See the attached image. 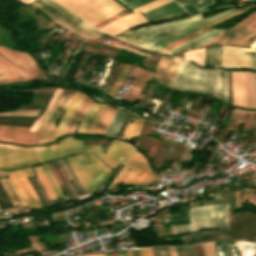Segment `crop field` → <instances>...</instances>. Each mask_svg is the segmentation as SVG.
<instances>
[{
    "label": "crop field",
    "instance_id": "8a807250",
    "mask_svg": "<svg viewBox=\"0 0 256 256\" xmlns=\"http://www.w3.org/2000/svg\"><path fill=\"white\" fill-rule=\"evenodd\" d=\"M75 140L62 139L58 146L38 148L43 162L73 153L85 152L66 158L83 190H93L97 188L111 172L96 156L103 159L111 168H115L118 163L125 165L136 150L125 142L113 140L112 144L103 155L101 147L96 145L84 146L82 143L78 142L79 140ZM92 160L95 162L83 165ZM124 165L107 188H111L119 179L126 169Z\"/></svg>",
    "mask_w": 256,
    "mask_h": 256
},
{
    "label": "crop field",
    "instance_id": "ac0d7876",
    "mask_svg": "<svg viewBox=\"0 0 256 256\" xmlns=\"http://www.w3.org/2000/svg\"><path fill=\"white\" fill-rule=\"evenodd\" d=\"M190 224L174 226V234L193 231L201 228L219 227L214 231H195L183 238L187 245L211 239H227V205L198 206L189 210Z\"/></svg>",
    "mask_w": 256,
    "mask_h": 256
},
{
    "label": "crop field",
    "instance_id": "34b2d1b8",
    "mask_svg": "<svg viewBox=\"0 0 256 256\" xmlns=\"http://www.w3.org/2000/svg\"><path fill=\"white\" fill-rule=\"evenodd\" d=\"M47 79L29 54L0 46V84Z\"/></svg>",
    "mask_w": 256,
    "mask_h": 256
},
{
    "label": "crop field",
    "instance_id": "412701ff",
    "mask_svg": "<svg viewBox=\"0 0 256 256\" xmlns=\"http://www.w3.org/2000/svg\"><path fill=\"white\" fill-rule=\"evenodd\" d=\"M169 88L207 93L217 97V70H200L184 61Z\"/></svg>",
    "mask_w": 256,
    "mask_h": 256
},
{
    "label": "crop field",
    "instance_id": "f4fd0767",
    "mask_svg": "<svg viewBox=\"0 0 256 256\" xmlns=\"http://www.w3.org/2000/svg\"><path fill=\"white\" fill-rule=\"evenodd\" d=\"M31 4L39 7L58 24L78 32L86 37L97 39L102 32L92 28L79 17L67 11L52 0H33Z\"/></svg>",
    "mask_w": 256,
    "mask_h": 256
},
{
    "label": "crop field",
    "instance_id": "dd49c442",
    "mask_svg": "<svg viewBox=\"0 0 256 256\" xmlns=\"http://www.w3.org/2000/svg\"><path fill=\"white\" fill-rule=\"evenodd\" d=\"M198 19H201L200 14L192 15L188 18L178 20L176 22L141 28L136 31H127L122 34L115 35L127 42L148 48L158 39L166 36L167 34L182 28Z\"/></svg>",
    "mask_w": 256,
    "mask_h": 256
},
{
    "label": "crop field",
    "instance_id": "e52e79f7",
    "mask_svg": "<svg viewBox=\"0 0 256 256\" xmlns=\"http://www.w3.org/2000/svg\"><path fill=\"white\" fill-rule=\"evenodd\" d=\"M66 6L90 24H95L109 15L123 9L114 0H55ZM65 7V8H66ZM94 26V25H93Z\"/></svg>",
    "mask_w": 256,
    "mask_h": 256
},
{
    "label": "crop field",
    "instance_id": "d8731c3e",
    "mask_svg": "<svg viewBox=\"0 0 256 256\" xmlns=\"http://www.w3.org/2000/svg\"><path fill=\"white\" fill-rule=\"evenodd\" d=\"M37 148L0 144V169L13 170L41 163Z\"/></svg>",
    "mask_w": 256,
    "mask_h": 256
},
{
    "label": "crop field",
    "instance_id": "5a996713",
    "mask_svg": "<svg viewBox=\"0 0 256 256\" xmlns=\"http://www.w3.org/2000/svg\"><path fill=\"white\" fill-rule=\"evenodd\" d=\"M255 35L256 12L238 22L235 27L224 30L213 40L201 46H208L214 43L244 46Z\"/></svg>",
    "mask_w": 256,
    "mask_h": 256
},
{
    "label": "crop field",
    "instance_id": "3316defc",
    "mask_svg": "<svg viewBox=\"0 0 256 256\" xmlns=\"http://www.w3.org/2000/svg\"><path fill=\"white\" fill-rule=\"evenodd\" d=\"M75 92V90L63 89L54 105L51 107L49 112L37 127L33 144L50 141L51 134L58 116L63 112L64 108L70 102Z\"/></svg>",
    "mask_w": 256,
    "mask_h": 256
},
{
    "label": "crop field",
    "instance_id": "28ad6ade",
    "mask_svg": "<svg viewBox=\"0 0 256 256\" xmlns=\"http://www.w3.org/2000/svg\"><path fill=\"white\" fill-rule=\"evenodd\" d=\"M250 48L223 46L220 67L243 68L256 70V54L245 52H256V42Z\"/></svg>",
    "mask_w": 256,
    "mask_h": 256
},
{
    "label": "crop field",
    "instance_id": "d1516ede",
    "mask_svg": "<svg viewBox=\"0 0 256 256\" xmlns=\"http://www.w3.org/2000/svg\"><path fill=\"white\" fill-rule=\"evenodd\" d=\"M7 172V171H6ZM9 178H7L17 196L21 200L23 206H29L30 208L34 207L37 208L40 206L39 199L34 194L28 180L26 178L33 177V173L31 172L30 168H24L16 171L7 172Z\"/></svg>",
    "mask_w": 256,
    "mask_h": 256
},
{
    "label": "crop field",
    "instance_id": "22f410ed",
    "mask_svg": "<svg viewBox=\"0 0 256 256\" xmlns=\"http://www.w3.org/2000/svg\"><path fill=\"white\" fill-rule=\"evenodd\" d=\"M236 12H239V11L235 8H232V9L226 10L224 12H221L219 14H216L214 16L201 19L195 23H192V24H190L182 29H179V30L167 35L166 37L160 39L159 41L154 43L151 47H149V49L160 52L166 46L181 39L182 37L194 32L208 24H211L217 20L226 18Z\"/></svg>",
    "mask_w": 256,
    "mask_h": 256
},
{
    "label": "crop field",
    "instance_id": "cbeb9de0",
    "mask_svg": "<svg viewBox=\"0 0 256 256\" xmlns=\"http://www.w3.org/2000/svg\"><path fill=\"white\" fill-rule=\"evenodd\" d=\"M171 1H173V0H156L154 2H151L147 5H144L135 10H132L134 13L127 15L123 18H119V19L107 24L106 26L102 27L100 30H102L110 35H113L115 33L121 32V31L129 28L130 26H132L134 24L147 22V20L145 18H143L137 11H141L142 13H144L150 9L164 5Z\"/></svg>",
    "mask_w": 256,
    "mask_h": 256
},
{
    "label": "crop field",
    "instance_id": "5142ce71",
    "mask_svg": "<svg viewBox=\"0 0 256 256\" xmlns=\"http://www.w3.org/2000/svg\"><path fill=\"white\" fill-rule=\"evenodd\" d=\"M182 61V59L174 56L163 57L158 67L155 69V71H158L160 73H154L153 78H155L157 82L168 87L170 82L175 77Z\"/></svg>",
    "mask_w": 256,
    "mask_h": 256
},
{
    "label": "crop field",
    "instance_id": "d9b57169",
    "mask_svg": "<svg viewBox=\"0 0 256 256\" xmlns=\"http://www.w3.org/2000/svg\"><path fill=\"white\" fill-rule=\"evenodd\" d=\"M29 128L0 126V141L31 145L34 133H27Z\"/></svg>",
    "mask_w": 256,
    "mask_h": 256
},
{
    "label": "crop field",
    "instance_id": "733c2abd",
    "mask_svg": "<svg viewBox=\"0 0 256 256\" xmlns=\"http://www.w3.org/2000/svg\"><path fill=\"white\" fill-rule=\"evenodd\" d=\"M106 105L93 102L86 110L77 132L90 134Z\"/></svg>",
    "mask_w": 256,
    "mask_h": 256
},
{
    "label": "crop field",
    "instance_id": "4a817a6b",
    "mask_svg": "<svg viewBox=\"0 0 256 256\" xmlns=\"http://www.w3.org/2000/svg\"><path fill=\"white\" fill-rule=\"evenodd\" d=\"M153 72L143 70L141 68H135L134 73L132 75L134 79L131 87L128 89V91L123 96L124 99H127L129 101H133L136 99V97L140 94L148 80L152 77Z\"/></svg>",
    "mask_w": 256,
    "mask_h": 256
},
{
    "label": "crop field",
    "instance_id": "bc2a9ffb",
    "mask_svg": "<svg viewBox=\"0 0 256 256\" xmlns=\"http://www.w3.org/2000/svg\"><path fill=\"white\" fill-rule=\"evenodd\" d=\"M129 168L131 170H129ZM158 178L160 177L154 175V173L144 172L135 168L128 167V169L120 177L117 183L120 180H123L125 183L122 186L141 184V183L145 184V183L157 181ZM117 183L113 187H115Z\"/></svg>",
    "mask_w": 256,
    "mask_h": 256
},
{
    "label": "crop field",
    "instance_id": "214f88e0",
    "mask_svg": "<svg viewBox=\"0 0 256 256\" xmlns=\"http://www.w3.org/2000/svg\"><path fill=\"white\" fill-rule=\"evenodd\" d=\"M233 87V105L245 106V86L243 72H231Z\"/></svg>",
    "mask_w": 256,
    "mask_h": 256
},
{
    "label": "crop field",
    "instance_id": "92a150f3",
    "mask_svg": "<svg viewBox=\"0 0 256 256\" xmlns=\"http://www.w3.org/2000/svg\"><path fill=\"white\" fill-rule=\"evenodd\" d=\"M84 97H85V95L80 94L78 92L75 94V96L73 97V99L71 100V102L69 103L67 108L65 109V111H64L65 113H64L58 127L54 129L51 141L60 137L66 121L68 120L70 115L73 113V111L78 107V105L81 103V101L84 99Z\"/></svg>",
    "mask_w": 256,
    "mask_h": 256
},
{
    "label": "crop field",
    "instance_id": "dafd665d",
    "mask_svg": "<svg viewBox=\"0 0 256 256\" xmlns=\"http://www.w3.org/2000/svg\"><path fill=\"white\" fill-rule=\"evenodd\" d=\"M92 103V101L86 96V98L83 100V102L80 104V106L77 108V110L72 114V116L69 118L65 129L62 132V135L66 134H74L76 125L79 122V120L82 118L85 110L87 107ZM61 135V136H62Z\"/></svg>",
    "mask_w": 256,
    "mask_h": 256
},
{
    "label": "crop field",
    "instance_id": "00972430",
    "mask_svg": "<svg viewBox=\"0 0 256 256\" xmlns=\"http://www.w3.org/2000/svg\"><path fill=\"white\" fill-rule=\"evenodd\" d=\"M180 12H184L182 8H180L175 1L164 5L158 9L149 11L147 13H144V15L151 21L155 19L164 18L173 14H177Z\"/></svg>",
    "mask_w": 256,
    "mask_h": 256
},
{
    "label": "crop field",
    "instance_id": "a9b5d70f",
    "mask_svg": "<svg viewBox=\"0 0 256 256\" xmlns=\"http://www.w3.org/2000/svg\"><path fill=\"white\" fill-rule=\"evenodd\" d=\"M221 31H222L221 29H212L211 31H207V32L195 37L194 39L188 41L184 45L176 48L175 50L169 52V54H174V53H177L182 50L194 48L204 42L210 41L215 36H217L219 33H221Z\"/></svg>",
    "mask_w": 256,
    "mask_h": 256
},
{
    "label": "crop field",
    "instance_id": "4177f3b9",
    "mask_svg": "<svg viewBox=\"0 0 256 256\" xmlns=\"http://www.w3.org/2000/svg\"><path fill=\"white\" fill-rule=\"evenodd\" d=\"M246 86V106L256 108V85L253 73L244 72Z\"/></svg>",
    "mask_w": 256,
    "mask_h": 256
},
{
    "label": "crop field",
    "instance_id": "730fd06b",
    "mask_svg": "<svg viewBox=\"0 0 256 256\" xmlns=\"http://www.w3.org/2000/svg\"><path fill=\"white\" fill-rule=\"evenodd\" d=\"M222 45H212L205 48V61L203 67H219Z\"/></svg>",
    "mask_w": 256,
    "mask_h": 256
},
{
    "label": "crop field",
    "instance_id": "eef30255",
    "mask_svg": "<svg viewBox=\"0 0 256 256\" xmlns=\"http://www.w3.org/2000/svg\"><path fill=\"white\" fill-rule=\"evenodd\" d=\"M117 107L114 110L112 107L107 106L103 114L101 115L100 119L98 120L92 134H102L104 133L105 129L107 128L109 122L111 121L112 117L117 111Z\"/></svg>",
    "mask_w": 256,
    "mask_h": 256
},
{
    "label": "crop field",
    "instance_id": "ae1a2a85",
    "mask_svg": "<svg viewBox=\"0 0 256 256\" xmlns=\"http://www.w3.org/2000/svg\"><path fill=\"white\" fill-rule=\"evenodd\" d=\"M122 109H118L117 113L113 117L112 121L110 122L108 128L106 129L104 135L105 136H115L124 121L127 113L121 111Z\"/></svg>",
    "mask_w": 256,
    "mask_h": 256
},
{
    "label": "crop field",
    "instance_id": "d3111659",
    "mask_svg": "<svg viewBox=\"0 0 256 256\" xmlns=\"http://www.w3.org/2000/svg\"><path fill=\"white\" fill-rule=\"evenodd\" d=\"M126 166H133L136 168L143 169L145 171L152 172V170L149 168V165L147 164V161L145 160V158L137 151L133 154V156L127 162Z\"/></svg>",
    "mask_w": 256,
    "mask_h": 256
},
{
    "label": "crop field",
    "instance_id": "750c4746",
    "mask_svg": "<svg viewBox=\"0 0 256 256\" xmlns=\"http://www.w3.org/2000/svg\"><path fill=\"white\" fill-rule=\"evenodd\" d=\"M219 79V98L227 102L228 87H227V73L218 70Z\"/></svg>",
    "mask_w": 256,
    "mask_h": 256
},
{
    "label": "crop field",
    "instance_id": "bd1437ed",
    "mask_svg": "<svg viewBox=\"0 0 256 256\" xmlns=\"http://www.w3.org/2000/svg\"><path fill=\"white\" fill-rule=\"evenodd\" d=\"M184 59L193 60L196 64L202 66L204 60V48L185 51Z\"/></svg>",
    "mask_w": 256,
    "mask_h": 256
},
{
    "label": "crop field",
    "instance_id": "1d83c4d3",
    "mask_svg": "<svg viewBox=\"0 0 256 256\" xmlns=\"http://www.w3.org/2000/svg\"><path fill=\"white\" fill-rule=\"evenodd\" d=\"M142 120L136 118L135 121L133 123H128L124 133H123V138H127L129 139L130 137L132 136H137L138 135V132L140 130V127H141V124H142ZM126 139V140H127ZM125 140V139H124Z\"/></svg>",
    "mask_w": 256,
    "mask_h": 256
},
{
    "label": "crop field",
    "instance_id": "120bbe31",
    "mask_svg": "<svg viewBox=\"0 0 256 256\" xmlns=\"http://www.w3.org/2000/svg\"><path fill=\"white\" fill-rule=\"evenodd\" d=\"M40 166L43 169V171H44V173H45V175H46V177H47L51 187L53 188L56 196L64 198V196L62 195V193H61V191H60V189H59V187H58V185H57V183H56V181H55V179H54L50 169L47 167L46 164L40 165Z\"/></svg>",
    "mask_w": 256,
    "mask_h": 256
},
{
    "label": "crop field",
    "instance_id": "d32e631a",
    "mask_svg": "<svg viewBox=\"0 0 256 256\" xmlns=\"http://www.w3.org/2000/svg\"><path fill=\"white\" fill-rule=\"evenodd\" d=\"M33 168L35 169V171H36V173H37V175H38V177H39L41 183L43 184V186H44V188H45V190H46V192H47L49 198H50V199H57L56 196H55V194H54V192H53V190H52V188L50 187V185H49V183H48L46 177L44 176V174H43V172H42L40 166H38V167H33Z\"/></svg>",
    "mask_w": 256,
    "mask_h": 256
},
{
    "label": "crop field",
    "instance_id": "5866460e",
    "mask_svg": "<svg viewBox=\"0 0 256 256\" xmlns=\"http://www.w3.org/2000/svg\"><path fill=\"white\" fill-rule=\"evenodd\" d=\"M207 30H209V29H204V28H203V29H201V30H198V31H196V32H194V33H192V34H190V35L184 37L183 39L179 40V41L176 42L175 44H173V45H171V46L165 48V49H164L163 51H161V52L167 53V52H169V51L175 49L176 47H178V46L184 44V43L187 42L188 40L194 38L195 36H197V35H199V34L205 32V31H207Z\"/></svg>",
    "mask_w": 256,
    "mask_h": 256
},
{
    "label": "crop field",
    "instance_id": "028f5c9d",
    "mask_svg": "<svg viewBox=\"0 0 256 256\" xmlns=\"http://www.w3.org/2000/svg\"><path fill=\"white\" fill-rule=\"evenodd\" d=\"M129 13H130L129 11L124 9V10H122V11H120V12H118V13H116V14H114V15H112V16L104 19V20H102L101 22L95 24L94 27H96L98 29V28L106 25L107 23H109V22H111V21H113V20H115V19H117L119 17H123V16H125V15H127Z\"/></svg>",
    "mask_w": 256,
    "mask_h": 256
},
{
    "label": "crop field",
    "instance_id": "e1f06a70",
    "mask_svg": "<svg viewBox=\"0 0 256 256\" xmlns=\"http://www.w3.org/2000/svg\"><path fill=\"white\" fill-rule=\"evenodd\" d=\"M0 182H1V184H2V186H3V188H4V190H5V192H6V194H7V196L9 197L11 203L13 204V206H14L16 212H18V210H17V208H16V206H15V205L18 204V202H17L16 198L14 197V195H13V193H12V191H11L9 185L7 184V182L5 181L4 178H3V179H0ZM18 205H19V204H18ZM19 207H20V206H19ZM20 208H21V207H20Z\"/></svg>",
    "mask_w": 256,
    "mask_h": 256
},
{
    "label": "crop field",
    "instance_id": "0bd39190",
    "mask_svg": "<svg viewBox=\"0 0 256 256\" xmlns=\"http://www.w3.org/2000/svg\"><path fill=\"white\" fill-rule=\"evenodd\" d=\"M41 110H20L15 112H0V115H38Z\"/></svg>",
    "mask_w": 256,
    "mask_h": 256
},
{
    "label": "crop field",
    "instance_id": "b80d0937",
    "mask_svg": "<svg viewBox=\"0 0 256 256\" xmlns=\"http://www.w3.org/2000/svg\"><path fill=\"white\" fill-rule=\"evenodd\" d=\"M178 256H195L192 246L188 247H176Z\"/></svg>",
    "mask_w": 256,
    "mask_h": 256
},
{
    "label": "crop field",
    "instance_id": "c035e120",
    "mask_svg": "<svg viewBox=\"0 0 256 256\" xmlns=\"http://www.w3.org/2000/svg\"><path fill=\"white\" fill-rule=\"evenodd\" d=\"M187 3L196 4L197 5V9L200 10V9H202V8L212 4L213 0H190V1H187L185 3H182L181 5L187 4Z\"/></svg>",
    "mask_w": 256,
    "mask_h": 256
},
{
    "label": "crop field",
    "instance_id": "c21b1889",
    "mask_svg": "<svg viewBox=\"0 0 256 256\" xmlns=\"http://www.w3.org/2000/svg\"><path fill=\"white\" fill-rule=\"evenodd\" d=\"M207 256H217L214 241L203 244Z\"/></svg>",
    "mask_w": 256,
    "mask_h": 256
},
{
    "label": "crop field",
    "instance_id": "03da06ac",
    "mask_svg": "<svg viewBox=\"0 0 256 256\" xmlns=\"http://www.w3.org/2000/svg\"><path fill=\"white\" fill-rule=\"evenodd\" d=\"M31 246L35 245L37 252L44 251L38 236L27 237Z\"/></svg>",
    "mask_w": 256,
    "mask_h": 256
},
{
    "label": "crop field",
    "instance_id": "b54c1fbb",
    "mask_svg": "<svg viewBox=\"0 0 256 256\" xmlns=\"http://www.w3.org/2000/svg\"><path fill=\"white\" fill-rule=\"evenodd\" d=\"M153 256H169L167 247L151 248Z\"/></svg>",
    "mask_w": 256,
    "mask_h": 256
},
{
    "label": "crop field",
    "instance_id": "5d738f31",
    "mask_svg": "<svg viewBox=\"0 0 256 256\" xmlns=\"http://www.w3.org/2000/svg\"><path fill=\"white\" fill-rule=\"evenodd\" d=\"M120 1L122 4H124L125 6H127L128 8L137 5L141 2H144L146 0H118Z\"/></svg>",
    "mask_w": 256,
    "mask_h": 256
},
{
    "label": "crop field",
    "instance_id": "d23c7cc5",
    "mask_svg": "<svg viewBox=\"0 0 256 256\" xmlns=\"http://www.w3.org/2000/svg\"><path fill=\"white\" fill-rule=\"evenodd\" d=\"M140 256H152L150 248H142L138 250Z\"/></svg>",
    "mask_w": 256,
    "mask_h": 256
},
{
    "label": "crop field",
    "instance_id": "425ffa30",
    "mask_svg": "<svg viewBox=\"0 0 256 256\" xmlns=\"http://www.w3.org/2000/svg\"><path fill=\"white\" fill-rule=\"evenodd\" d=\"M55 88H43V89H35V90H28V91H22V92H47V93H53Z\"/></svg>",
    "mask_w": 256,
    "mask_h": 256
},
{
    "label": "crop field",
    "instance_id": "25e5ab78",
    "mask_svg": "<svg viewBox=\"0 0 256 256\" xmlns=\"http://www.w3.org/2000/svg\"><path fill=\"white\" fill-rule=\"evenodd\" d=\"M255 6H256V5H255ZM253 7H254V6H253ZM251 8H252V7H251ZM248 9H250V8H248ZM248 9H246V10H248ZM243 11H245V10H243ZM243 11H241V12H243ZM241 12H239V13H241ZM239 13H236V14H234V15H232V16H230V17L226 18V19H229V18H231V17H233V16H235V15H237V14H239ZM226 19H223V20L217 21V22H215V23H213V24H211V25H209V26H206V27L213 26V25H215V24H217V23H219V22H221V21H224V20H226Z\"/></svg>",
    "mask_w": 256,
    "mask_h": 256
},
{
    "label": "crop field",
    "instance_id": "73cf0c24",
    "mask_svg": "<svg viewBox=\"0 0 256 256\" xmlns=\"http://www.w3.org/2000/svg\"><path fill=\"white\" fill-rule=\"evenodd\" d=\"M168 248H169L170 256H177L175 247H168Z\"/></svg>",
    "mask_w": 256,
    "mask_h": 256
},
{
    "label": "crop field",
    "instance_id": "89e229c0",
    "mask_svg": "<svg viewBox=\"0 0 256 256\" xmlns=\"http://www.w3.org/2000/svg\"><path fill=\"white\" fill-rule=\"evenodd\" d=\"M151 1H154V0H148V1L144 2V3H141V4L137 5V6H134V7L130 8V10L135 9V8H137V7H139V6H142V5H144V4H146V3H149V2H151Z\"/></svg>",
    "mask_w": 256,
    "mask_h": 256
},
{
    "label": "crop field",
    "instance_id": "1f2cbd36",
    "mask_svg": "<svg viewBox=\"0 0 256 256\" xmlns=\"http://www.w3.org/2000/svg\"><path fill=\"white\" fill-rule=\"evenodd\" d=\"M117 254H118V256H127L125 250L119 251V252H117Z\"/></svg>",
    "mask_w": 256,
    "mask_h": 256
},
{
    "label": "crop field",
    "instance_id": "dbb93151",
    "mask_svg": "<svg viewBox=\"0 0 256 256\" xmlns=\"http://www.w3.org/2000/svg\"><path fill=\"white\" fill-rule=\"evenodd\" d=\"M255 41H256V36L253 39H251L245 46H249L250 44H252Z\"/></svg>",
    "mask_w": 256,
    "mask_h": 256
},
{
    "label": "crop field",
    "instance_id": "0fb4a251",
    "mask_svg": "<svg viewBox=\"0 0 256 256\" xmlns=\"http://www.w3.org/2000/svg\"><path fill=\"white\" fill-rule=\"evenodd\" d=\"M2 176H6L5 171H0V177H2Z\"/></svg>",
    "mask_w": 256,
    "mask_h": 256
},
{
    "label": "crop field",
    "instance_id": "1d79db26",
    "mask_svg": "<svg viewBox=\"0 0 256 256\" xmlns=\"http://www.w3.org/2000/svg\"><path fill=\"white\" fill-rule=\"evenodd\" d=\"M133 256H138L136 250H131Z\"/></svg>",
    "mask_w": 256,
    "mask_h": 256
},
{
    "label": "crop field",
    "instance_id": "9d1cf04e",
    "mask_svg": "<svg viewBox=\"0 0 256 256\" xmlns=\"http://www.w3.org/2000/svg\"><path fill=\"white\" fill-rule=\"evenodd\" d=\"M110 256H117L116 252H109Z\"/></svg>",
    "mask_w": 256,
    "mask_h": 256
},
{
    "label": "crop field",
    "instance_id": "447ae74e",
    "mask_svg": "<svg viewBox=\"0 0 256 256\" xmlns=\"http://www.w3.org/2000/svg\"><path fill=\"white\" fill-rule=\"evenodd\" d=\"M175 1L180 4V3L185 2V1H187V0H175Z\"/></svg>",
    "mask_w": 256,
    "mask_h": 256
},
{
    "label": "crop field",
    "instance_id": "0765c3eb",
    "mask_svg": "<svg viewBox=\"0 0 256 256\" xmlns=\"http://www.w3.org/2000/svg\"><path fill=\"white\" fill-rule=\"evenodd\" d=\"M126 251H127V255H128V256H132L130 250H126Z\"/></svg>",
    "mask_w": 256,
    "mask_h": 256
},
{
    "label": "crop field",
    "instance_id": "db79e9e6",
    "mask_svg": "<svg viewBox=\"0 0 256 256\" xmlns=\"http://www.w3.org/2000/svg\"><path fill=\"white\" fill-rule=\"evenodd\" d=\"M89 256H101V253L93 254V255H89Z\"/></svg>",
    "mask_w": 256,
    "mask_h": 256
},
{
    "label": "crop field",
    "instance_id": "7b73153f",
    "mask_svg": "<svg viewBox=\"0 0 256 256\" xmlns=\"http://www.w3.org/2000/svg\"><path fill=\"white\" fill-rule=\"evenodd\" d=\"M21 1L30 3L32 0H21Z\"/></svg>",
    "mask_w": 256,
    "mask_h": 256
},
{
    "label": "crop field",
    "instance_id": "78b8030e",
    "mask_svg": "<svg viewBox=\"0 0 256 256\" xmlns=\"http://www.w3.org/2000/svg\"><path fill=\"white\" fill-rule=\"evenodd\" d=\"M243 1H245V0H240V1L236 2V3L243 2Z\"/></svg>",
    "mask_w": 256,
    "mask_h": 256
},
{
    "label": "crop field",
    "instance_id": "0f1d7ab4",
    "mask_svg": "<svg viewBox=\"0 0 256 256\" xmlns=\"http://www.w3.org/2000/svg\"><path fill=\"white\" fill-rule=\"evenodd\" d=\"M105 254H106V256H109L108 252H106Z\"/></svg>",
    "mask_w": 256,
    "mask_h": 256
},
{
    "label": "crop field",
    "instance_id": "e1d0b9f6",
    "mask_svg": "<svg viewBox=\"0 0 256 256\" xmlns=\"http://www.w3.org/2000/svg\"><path fill=\"white\" fill-rule=\"evenodd\" d=\"M247 1H254V0H247Z\"/></svg>",
    "mask_w": 256,
    "mask_h": 256
},
{
    "label": "crop field",
    "instance_id": "ae633e8c",
    "mask_svg": "<svg viewBox=\"0 0 256 256\" xmlns=\"http://www.w3.org/2000/svg\"><path fill=\"white\" fill-rule=\"evenodd\" d=\"M102 255H103V256H105V254H104V253H102Z\"/></svg>",
    "mask_w": 256,
    "mask_h": 256
},
{
    "label": "crop field",
    "instance_id": "d14b1444",
    "mask_svg": "<svg viewBox=\"0 0 256 256\" xmlns=\"http://www.w3.org/2000/svg\"><path fill=\"white\" fill-rule=\"evenodd\" d=\"M255 77H256V74H255Z\"/></svg>",
    "mask_w": 256,
    "mask_h": 256
},
{
    "label": "crop field",
    "instance_id": "c39391a2",
    "mask_svg": "<svg viewBox=\"0 0 256 256\" xmlns=\"http://www.w3.org/2000/svg\"><path fill=\"white\" fill-rule=\"evenodd\" d=\"M1 213V212H0Z\"/></svg>",
    "mask_w": 256,
    "mask_h": 256
}]
</instances>
